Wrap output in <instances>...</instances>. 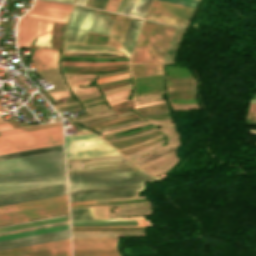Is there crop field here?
Wrapping results in <instances>:
<instances>
[{"label": "crop field", "instance_id": "27", "mask_svg": "<svg viewBox=\"0 0 256 256\" xmlns=\"http://www.w3.org/2000/svg\"><path fill=\"white\" fill-rule=\"evenodd\" d=\"M67 228H69V224L50 227V228H44V229H38V230H33V231L15 233V234H10V235H4V236H0V240L21 237V236H27V235H33V234L44 233V232H50V231L61 230V229H67Z\"/></svg>", "mask_w": 256, "mask_h": 256}, {"label": "crop field", "instance_id": "3", "mask_svg": "<svg viewBox=\"0 0 256 256\" xmlns=\"http://www.w3.org/2000/svg\"><path fill=\"white\" fill-rule=\"evenodd\" d=\"M63 144L62 126L0 137V154Z\"/></svg>", "mask_w": 256, "mask_h": 256}, {"label": "crop field", "instance_id": "14", "mask_svg": "<svg viewBox=\"0 0 256 256\" xmlns=\"http://www.w3.org/2000/svg\"><path fill=\"white\" fill-rule=\"evenodd\" d=\"M67 202V195L0 207V213Z\"/></svg>", "mask_w": 256, "mask_h": 256}, {"label": "crop field", "instance_id": "46", "mask_svg": "<svg viewBox=\"0 0 256 256\" xmlns=\"http://www.w3.org/2000/svg\"><path fill=\"white\" fill-rule=\"evenodd\" d=\"M12 126L9 124L8 121H4L1 117H0V130H5V129H11Z\"/></svg>", "mask_w": 256, "mask_h": 256}, {"label": "crop field", "instance_id": "40", "mask_svg": "<svg viewBox=\"0 0 256 256\" xmlns=\"http://www.w3.org/2000/svg\"><path fill=\"white\" fill-rule=\"evenodd\" d=\"M49 46H50V36L49 35L39 38L35 42V47L49 48Z\"/></svg>", "mask_w": 256, "mask_h": 256}, {"label": "crop field", "instance_id": "18", "mask_svg": "<svg viewBox=\"0 0 256 256\" xmlns=\"http://www.w3.org/2000/svg\"><path fill=\"white\" fill-rule=\"evenodd\" d=\"M68 245H70V239L51 242V243H45V244H39V245H34V246L22 247V248H17V249L0 251V256H8V255H14V254H20V253H26V252H32V251H38V250H44V249H50V248L68 246Z\"/></svg>", "mask_w": 256, "mask_h": 256}, {"label": "crop field", "instance_id": "37", "mask_svg": "<svg viewBox=\"0 0 256 256\" xmlns=\"http://www.w3.org/2000/svg\"><path fill=\"white\" fill-rule=\"evenodd\" d=\"M137 0H122L117 13H121L124 15H130L135 3Z\"/></svg>", "mask_w": 256, "mask_h": 256}, {"label": "crop field", "instance_id": "48", "mask_svg": "<svg viewBox=\"0 0 256 256\" xmlns=\"http://www.w3.org/2000/svg\"><path fill=\"white\" fill-rule=\"evenodd\" d=\"M248 111L256 112V104L251 103Z\"/></svg>", "mask_w": 256, "mask_h": 256}, {"label": "crop field", "instance_id": "20", "mask_svg": "<svg viewBox=\"0 0 256 256\" xmlns=\"http://www.w3.org/2000/svg\"><path fill=\"white\" fill-rule=\"evenodd\" d=\"M141 22L142 21H140V20H134V19L131 20V23L129 25L127 34L125 36L123 45H122L121 50H120L127 57L130 56V53H131V50L133 48V45H134L138 30L140 28Z\"/></svg>", "mask_w": 256, "mask_h": 256}, {"label": "crop field", "instance_id": "57", "mask_svg": "<svg viewBox=\"0 0 256 256\" xmlns=\"http://www.w3.org/2000/svg\"><path fill=\"white\" fill-rule=\"evenodd\" d=\"M254 99H256L255 97H253Z\"/></svg>", "mask_w": 256, "mask_h": 256}, {"label": "crop field", "instance_id": "30", "mask_svg": "<svg viewBox=\"0 0 256 256\" xmlns=\"http://www.w3.org/2000/svg\"><path fill=\"white\" fill-rule=\"evenodd\" d=\"M61 149H63V145L49 147V148H43V149H37V150H31V151H25V152H19V153H13V154H7V155H1L0 160L16 158V157H21V156H27V155H33V154L44 153V152L55 151V150H61Z\"/></svg>", "mask_w": 256, "mask_h": 256}, {"label": "crop field", "instance_id": "8", "mask_svg": "<svg viewBox=\"0 0 256 256\" xmlns=\"http://www.w3.org/2000/svg\"><path fill=\"white\" fill-rule=\"evenodd\" d=\"M68 213L67 203L0 214V224L60 215Z\"/></svg>", "mask_w": 256, "mask_h": 256}, {"label": "crop field", "instance_id": "41", "mask_svg": "<svg viewBox=\"0 0 256 256\" xmlns=\"http://www.w3.org/2000/svg\"><path fill=\"white\" fill-rule=\"evenodd\" d=\"M115 64H128V62H119V63H79V62H62V65H115Z\"/></svg>", "mask_w": 256, "mask_h": 256}, {"label": "crop field", "instance_id": "6", "mask_svg": "<svg viewBox=\"0 0 256 256\" xmlns=\"http://www.w3.org/2000/svg\"><path fill=\"white\" fill-rule=\"evenodd\" d=\"M71 219H95L92 208L70 210ZM72 226H138V218L113 220H71ZM144 217H139V227L146 226Z\"/></svg>", "mask_w": 256, "mask_h": 256}, {"label": "crop field", "instance_id": "13", "mask_svg": "<svg viewBox=\"0 0 256 256\" xmlns=\"http://www.w3.org/2000/svg\"><path fill=\"white\" fill-rule=\"evenodd\" d=\"M130 18L116 16L115 22L113 24L110 36L108 38L107 44L120 50L124 36L126 34L128 25L130 23Z\"/></svg>", "mask_w": 256, "mask_h": 256}, {"label": "crop field", "instance_id": "17", "mask_svg": "<svg viewBox=\"0 0 256 256\" xmlns=\"http://www.w3.org/2000/svg\"><path fill=\"white\" fill-rule=\"evenodd\" d=\"M142 190L144 189L93 194V195H83V196H73V197H69V200H70V203H74V202H82V201H90V200H104V199L134 197V196H138V192Z\"/></svg>", "mask_w": 256, "mask_h": 256}, {"label": "crop field", "instance_id": "44", "mask_svg": "<svg viewBox=\"0 0 256 256\" xmlns=\"http://www.w3.org/2000/svg\"><path fill=\"white\" fill-rule=\"evenodd\" d=\"M139 117H132V118H128V119H124V120H120V121H116V122H112V123H108V124H104V125H100V126H95V129L98 128H102V127H106V126H110V125H114V124H118V123H122V122H126V121H130V120H134V119H138ZM93 128V127H90Z\"/></svg>", "mask_w": 256, "mask_h": 256}, {"label": "crop field", "instance_id": "4", "mask_svg": "<svg viewBox=\"0 0 256 256\" xmlns=\"http://www.w3.org/2000/svg\"><path fill=\"white\" fill-rule=\"evenodd\" d=\"M67 160L120 154L93 134L65 137Z\"/></svg>", "mask_w": 256, "mask_h": 256}, {"label": "crop field", "instance_id": "19", "mask_svg": "<svg viewBox=\"0 0 256 256\" xmlns=\"http://www.w3.org/2000/svg\"><path fill=\"white\" fill-rule=\"evenodd\" d=\"M64 190H66V184L0 195V201L34 196V195H40V194H46V193H52V192H58V191H64Z\"/></svg>", "mask_w": 256, "mask_h": 256}, {"label": "crop field", "instance_id": "52", "mask_svg": "<svg viewBox=\"0 0 256 256\" xmlns=\"http://www.w3.org/2000/svg\"><path fill=\"white\" fill-rule=\"evenodd\" d=\"M85 2H86V0H77V2L76 3H79V4H85Z\"/></svg>", "mask_w": 256, "mask_h": 256}, {"label": "crop field", "instance_id": "23", "mask_svg": "<svg viewBox=\"0 0 256 256\" xmlns=\"http://www.w3.org/2000/svg\"><path fill=\"white\" fill-rule=\"evenodd\" d=\"M109 15L97 13L89 32L108 35L114 21Z\"/></svg>", "mask_w": 256, "mask_h": 256}, {"label": "crop field", "instance_id": "47", "mask_svg": "<svg viewBox=\"0 0 256 256\" xmlns=\"http://www.w3.org/2000/svg\"><path fill=\"white\" fill-rule=\"evenodd\" d=\"M93 209L96 219H104L101 207H94Z\"/></svg>", "mask_w": 256, "mask_h": 256}, {"label": "crop field", "instance_id": "24", "mask_svg": "<svg viewBox=\"0 0 256 256\" xmlns=\"http://www.w3.org/2000/svg\"><path fill=\"white\" fill-rule=\"evenodd\" d=\"M64 221H66V216L58 217V218H52V219H46V220H41V221H35V222H29V223H24V224L6 226V227H1L0 228V233L1 232H6V231L29 228V227L41 226V225H46V224L64 222Z\"/></svg>", "mask_w": 256, "mask_h": 256}, {"label": "crop field", "instance_id": "49", "mask_svg": "<svg viewBox=\"0 0 256 256\" xmlns=\"http://www.w3.org/2000/svg\"><path fill=\"white\" fill-rule=\"evenodd\" d=\"M245 123L256 125V121L255 120L246 119Z\"/></svg>", "mask_w": 256, "mask_h": 256}, {"label": "crop field", "instance_id": "39", "mask_svg": "<svg viewBox=\"0 0 256 256\" xmlns=\"http://www.w3.org/2000/svg\"><path fill=\"white\" fill-rule=\"evenodd\" d=\"M98 0H87L86 6L95 7ZM108 0H99L96 7L97 9L103 10Z\"/></svg>", "mask_w": 256, "mask_h": 256}, {"label": "crop field", "instance_id": "36", "mask_svg": "<svg viewBox=\"0 0 256 256\" xmlns=\"http://www.w3.org/2000/svg\"><path fill=\"white\" fill-rule=\"evenodd\" d=\"M60 125H62V123L58 122V123H52V124H46V125L16 129V130H11V131H5V132H0V136L10 135V134H15V133H21V132H27V131H32V130H38V129H43V128H49V127H54V126H60Z\"/></svg>", "mask_w": 256, "mask_h": 256}, {"label": "crop field", "instance_id": "35", "mask_svg": "<svg viewBox=\"0 0 256 256\" xmlns=\"http://www.w3.org/2000/svg\"><path fill=\"white\" fill-rule=\"evenodd\" d=\"M65 194H67L66 191L52 193V194H46V195H40V196H34V197H28V198H22V199H16V200H10V201H4V202H0V206L13 204V203H19V202H25V201H31V200H36V199L48 198V197H53V196L65 195Z\"/></svg>", "mask_w": 256, "mask_h": 256}, {"label": "crop field", "instance_id": "22", "mask_svg": "<svg viewBox=\"0 0 256 256\" xmlns=\"http://www.w3.org/2000/svg\"><path fill=\"white\" fill-rule=\"evenodd\" d=\"M95 10H91V9H85L76 39L74 43H84L85 39L87 37L89 28L91 26L93 17L95 15Z\"/></svg>", "mask_w": 256, "mask_h": 256}, {"label": "crop field", "instance_id": "34", "mask_svg": "<svg viewBox=\"0 0 256 256\" xmlns=\"http://www.w3.org/2000/svg\"><path fill=\"white\" fill-rule=\"evenodd\" d=\"M57 70V69H56ZM43 72V71H42ZM42 77H48V76H54V75H58L60 74V71H47V72H43V73H39ZM61 76V75H59ZM59 76H55V77H59ZM55 77H49V78H55ZM49 78H45V79H49ZM52 80H62V77L60 78H55V79H49L48 81H52ZM54 82V81H53ZM53 85H57V84H64L63 81L61 82H54L52 83ZM64 88H67L66 85H57L53 88H50L48 89L49 91H52V90H58V89H64ZM65 90H68V89H65ZM59 91H64V90H59ZM55 92V91H53Z\"/></svg>", "mask_w": 256, "mask_h": 256}, {"label": "crop field", "instance_id": "56", "mask_svg": "<svg viewBox=\"0 0 256 256\" xmlns=\"http://www.w3.org/2000/svg\"><path fill=\"white\" fill-rule=\"evenodd\" d=\"M63 256H71V254H69V255H63Z\"/></svg>", "mask_w": 256, "mask_h": 256}, {"label": "crop field", "instance_id": "31", "mask_svg": "<svg viewBox=\"0 0 256 256\" xmlns=\"http://www.w3.org/2000/svg\"><path fill=\"white\" fill-rule=\"evenodd\" d=\"M145 19L172 25V26L186 25L188 23L186 21L168 18L160 15L151 14V13H148Z\"/></svg>", "mask_w": 256, "mask_h": 256}, {"label": "crop field", "instance_id": "42", "mask_svg": "<svg viewBox=\"0 0 256 256\" xmlns=\"http://www.w3.org/2000/svg\"><path fill=\"white\" fill-rule=\"evenodd\" d=\"M128 77H130L129 74L113 76V77H108V78H102V79L97 80V84L108 82V81H113V80H118V79H123V78H128Z\"/></svg>", "mask_w": 256, "mask_h": 256}, {"label": "crop field", "instance_id": "28", "mask_svg": "<svg viewBox=\"0 0 256 256\" xmlns=\"http://www.w3.org/2000/svg\"><path fill=\"white\" fill-rule=\"evenodd\" d=\"M68 253H71L70 246L32 252V253H26V254H20V255H14V256H56V255H62V254H68Z\"/></svg>", "mask_w": 256, "mask_h": 256}, {"label": "crop field", "instance_id": "53", "mask_svg": "<svg viewBox=\"0 0 256 256\" xmlns=\"http://www.w3.org/2000/svg\"><path fill=\"white\" fill-rule=\"evenodd\" d=\"M89 203H95V202L74 203V204H70V205H76V204H89Z\"/></svg>", "mask_w": 256, "mask_h": 256}, {"label": "crop field", "instance_id": "32", "mask_svg": "<svg viewBox=\"0 0 256 256\" xmlns=\"http://www.w3.org/2000/svg\"><path fill=\"white\" fill-rule=\"evenodd\" d=\"M151 1L152 0H138L130 16L143 19Z\"/></svg>", "mask_w": 256, "mask_h": 256}, {"label": "crop field", "instance_id": "11", "mask_svg": "<svg viewBox=\"0 0 256 256\" xmlns=\"http://www.w3.org/2000/svg\"><path fill=\"white\" fill-rule=\"evenodd\" d=\"M59 51L35 49L32 59L36 70L52 69L58 67Z\"/></svg>", "mask_w": 256, "mask_h": 256}, {"label": "crop field", "instance_id": "9", "mask_svg": "<svg viewBox=\"0 0 256 256\" xmlns=\"http://www.w3.org/2000/svg\"><path fill=\"white\" fill-rule=\"evenodd\" d=\"M70 238L69 229L0 241V250Z\"/></svg>", "mask_w": 256, "mask_h": 256}, {"label": "crop field", "instance_id": "10", "mask_svg": "<svg viewBox=\"0 0 256 256\" xmlns=\"http://www.w3.org/2000/svg\"><path fill=\"white\" fill-rule=\"evenodd\" d=\"M193 11V8L155 0L149 12L188 21Z\"/></svg>", "mask_w": 256, "mask_h": 256}, {"label": "crop field", "instance_id": "1", "mask_svg": "<svg viewBox=\"0 0 256 256\" xmlns=\"http://www.w3.org/2000/svg\"><path fill=\"white\" fill-rule=\"evenodd\" d=\"M63 183V150L0 161V194Z\"/></svg>", "mask_w": 256, "mask_h": 256}, {"label": "crop field", "instance_id": "26", "mask_svg": "<svg viewBox=\"0 0 256 256\" xmlns=\"http://www.w3.org/2000/svg\"><path fill=\"white\" fill-rule=\"evenodd\" d=\"M65 50L90 51V52H111V53L122 54L108 46H99V45L65 44Z\"/></svg>", "mask_w": 256, "mask_h": 256}, {"label": "crop field", "instance_id": "21", "mask_svg": "<svg viewBox=\"0 0 256 256\" xmlns=\"http://www.w3.org/2000/svg\"><path fill=\"white\" fill-rule=\"evenodd\" d=\"M84 9L85 8L83 7H74L69 23L67 25L66 42H74Z\"/></svg>", "mask_w": 256, "mask_h": 256}, {"label": "crop field", "instance_id": "50", "mask_svg": "<svg viewBox=\"0 0 256 256\" xmlns=\"http://www.w3.org/2000/svg\"><path fill=\"white\" fill-rule=\"evenodd\" d=\"M66 223V222H64ZM58 224H63V223H58ZM52 225H57V224H52ZM46 226H51V225H46ZM41 227H45V226H41ZM35 228H39V227H35ZM29 229H33V228H29ZM24 230H27V229H24ZM18 231H21V230H18ZM12 232H15V231H12ZM6 233H9V232H6ZM3 234V233H1Z\"/></svg>", "mask_w": 256, "mask_h": 256}, {"label": "crop field", "instance_id": "7", "mask_svg": "<svg viewBox=\"0 0 256 256\" xmlns=\"http://www.w3.org/2000/svg\"><path fill=\"white\" fill-rule=\"evenodd\" d=\"M174 28L155 25L142 63L161 64Z\"/></svg>", "mask_w": 256, "mask_h": 256}, {"label": "crop field", "instance_id": "15", "mask_svg": "<svg viewBox=\"0 0 256 256\" xmlns=\"http://www.w3.org/2000/svg\"><path fill=\"white\" fill-rule=\"evenodd\" d=\"M145 188L144 182L69 190V196Z\"/></svg>", "mask_w": 256, "mask_h": 256}, {"label": "crop field", "instance_id": "38", "mask_svg": "<svg viewBox=\"0 0 256 256\" xmlns=\"http://www.w3.org/2000/svg\"><path fill=\"white\" fill-rule=\"evenodd\" d=\"M195 8L199 0H161Z\"/></svg>", "mask_w": 256, "mask_h": 256}, {"label": "crop field", "instance_id": "55", "mask_svg": "<svg viewBox=\"0 0 256 256\" xmlns=\"http://www.w3.org/2000/svg\"><path fill=\"white\" fill-rule=\"evenodd\" d=\"M250 130V132H252V133H256V131L255 130H251V129H249Z\"/></svg>", "mask_w": 256, "mask_h": 256}, {"label": "crop field", "instance_id": "51", "mask_svg": "<svg viewBox=\"0 0 256 256\" xmlns=\"http://www.w3.org/2000/svg\"><path fill=\"white\" fill-rule=\"evenodd\" d=\"M161 137H162V136H161ZM155 139H156V138H155ZM152 140H154V139L148 140V141H146V142H144V143H147V142L152 141ZM144 143H142V144H144ZM142 144H140V145H142ZM137 146H139V145H137ZM133 147H135V146H133ZM129 148H132V147H129ZM129 148H124V149H119V150L122 151V150L129 149Z\"/></svg>", "mask_w": 256, "mask_h": 256}, {"label": "crop field", "instance_id": "16", "mask_svg": "<svg viewBox=\"0 0 256 256\" xmlns=\"http://www.w3.org/2000/svg\"><path fill=\"white\" fill-rule=\"evenodd\" d=\"M154 25L155 24L153 23H144L134 54L131 59V63L142 62Z\"/></svg>", "mask_w": 256, "mask_h": 256}, {"label": "crop field", "instance_id": "12", "mask_svg": "<svg viewBox=\"0 0 256 256\" xmlns=\"http://www.w3.org/2000/svg\"><path fill=\"white\" fill-rule=\"evenodd\" d=\"M117 238L73 239V250L116 249Z\"/></svg>", "mask_w": 256, "mask_h": 256}, {"label": "crop field", "instance_id": "29", "mask_svg": "<svg viewBox=\"0 0 256 256\" xmlns=\"http://www.w3.org/2000/svg\"><path fill=\"white\" fill-rule=\"evenodd\" d=\"M138 170H140V169H138L137 167H132V168H122V169H112V170L72 173V174H68V178L82 177V176H91V175H100V174H110V173H119V172H128V171H138Z\"/></svg>", "mask_w": 256, "mask_h": 256}, {"label": "crop field", "instance_id": "2", "mask_svg": "<svg viewBox=\"0 0 256 256\" xmlns=\"http://www.w3.org/2000/svg\"><path fill=\"white\" fill-rule=\"evenodd\" d=\"M72 7L37 0L18 23V48H30L34 37L51 35L52 22L66 24Z\"/></svg>", "mask_w": 256, "mask_h": 256}, {"label": "crop field", "instance_id": "33", "mask_svg": "<svg viewBox=\"0 0 256 256\" xmlns=\"http://www.w3.org/2000/svg\"><path fill=\"white\" fill-rule=\"evenodd\" d=\"M73 256H119L116 250L73 251Z\"/></svg>", "mask_w": 256, "mask_h": 256}, {"label": "crop field", "instance_id": "45", "mask_svg": "<svg viewBox=\"0 0 256 256\" xmlns=\"http://www.w3.org/2000/svg\"><path fill=\"white\" fill-rule=\"evenodd\" d=\"M130 88H131V85L123 86V87H119V88L103 91V94H104V97H105V96L110 95L112 93H115V92H118V91H122V90H126V89H130Z\"/></svg>", "mask_w": 256, "mask_h": 256}, {"label": "crop field", "instance_id": "5", "mask_svg": "<svg viewBox=\"0 0 256 256\" xmlns=\"http://www.w3.org/2000/svg\"><path fill=\"white\" fill-rule=\"evenodd\" d=\"M158 178L152 177L143 171L128 172L110 175H100L82 178L68 179L69 189L83 188L92 186H102L111 184H121L130 182L148 181L153 182Z\"/></svg>", "mask_w": 256, "mask_h": 256}, {"label": "crop field", "instance_id": "54", "mask_svg": "<svg viewBox=\"0 0 256 256\" xmlns=\"http://www.w3.org/2000/svg\"><path fill=\"white\" fill-rule=\"evenodd\" d=\"M58 1H64V2L74 3L75 0H58Z\"/></svg>", "mask_w": 256, "mask_h": 256}, {"label": "crop field", "instance_id": "43", "mask_svg": "<svg viewBox=\"0 0 256 256\" xmlns=\"http://www.w3.org/2000/svg\"><path fill=\"white\" fill-rule=\"evenodd\" d=\"M121 0H109L105 10L115 12Z\"/></svg>", "mask_w": 256, "mask_h": 256}, {"label": "crop field", "instance_id": "25", "mask_svg": "<svg viewBox=\"0 0 256 256\" xmlns=\"http://www.w3.org/2000/svg\"><path fill=\"white\" fill-rule=\"evenodd\" d=\"M134 77L163 74L161 66L130 65Z\"/></svg>", "mask_w": 256, "mask_h": 256}]
</instances>
